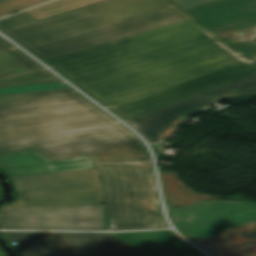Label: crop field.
I'll use <instances>...</instances> for the list:
<instances>
[{
	"label": "crop field",
	"instance_id": "obj_13",
	"mask_svg": "<svg viewBox=\"0 0 256 256\" xmlns=\"http://www.w3.org/2000/svg\"><path fill=\"white\" fill-rule=\"evenodd\" d=\"M18 200L2 208H31L103 204V188L18 193Z\"/></svg>",
	"mask_w": 256,
	"mask_h": 256
},
{
	"label": "crop field",
	"instance_id": "obj_7",
	"mask_svg": "<svg viewBox=\"0 0 256 256\" xmlns=\"http://www.w3.org/2000/svg\"><path fill=\"white\" fill-rule=\"evenodd\" d=\"M3 229L105 230L103 205L3 209Z\"/></svg>",
	"mask_w": 256,
	"mask_h": 256
},
{
	"label": "crop field",
	"instance_id": "obj_1",
	"mask_svg": "<svg viewBox=\"0 0 256 256\" xmlns=\"http://www.w3.org/2000/svg\"><path fill=\"white\" fill-rule=\"evenodd\" d=\"M30 147L52 160L92 157L109 230L167 227L147 149L71 88L0 95V154Z\"/></svg>",
	"mask_w": 256,
	"mask_h": 256
},
{
	"label": "crop field",
	"instance_id": "obj_23",
	"mask_svg": "<svg viewBox=\"0 0 256 256\" xmlns=\"http://www.w3.org/2000/svg\"><path fill=\"white\" fill-rule=\"evenodd\" d=\"M0 196H1V190H0Z\"/></svg>",
	"mask_w": 256,
	"mask_h": 256
},
{
	"label": "crop field",
	"instance_id": "obj_22",
	"mask_svg": "<svg viewBox=\"0 0 256 256\" xmlns=\"http://www.w3.org/2000/svg\"><path fill=\"white\" fill-rule=\"evenodd\" d=\"M2 1H5V0H0V2H2Z\"/></svg>",
	"mask_w": 256,
	"mask_h": 256
},
{
	"label": "crop field",
	"instance_id": "obj_9",
	"mask_svg": "<svg viewBox=\"0 0 256 256\" xmlns=\"http://www.w3.org/2000/svg\"><path fill=\"white\" fill-rule=\"evenodd\" d=\"M37 77L43 78L0 82V88L61 82L0 37V81Z\"/></svg>",
	"mask_w": 256,
	"mask_h": 256
},
{
	"label": "crop field",
	"instance_id": "obj_2",
	"mask_svg": "<svg viewBox=\"0 0 256 256\" xmlns=\"http://www.w3.org/2000/svg\"><path fill=\"white\" fill-rule=\"evenodd\" d=\"M46 61L126 120L256 72L193 18Z\"/></svg>",
	"mask_w": 256,
	"mask_h": 256
},
{
	"label": "crop field",
	"instance_id": "obj_11",
	"mask_svg": "<svg viewBox=\"0 0 256 256\" xmlns=\"http://www.w3.org/2000/svg\"><path fill=\"white\" fill-rule=\"evenodd\" d=\"M17 192L102 187L97 169L10 178Z\"/></svg>",
	"mask_w": 256,
	"mask_h": 256
},
{
	"label": "crop field",
	"instance_id": "obj_21",
	"mask_svg": "<svg viewBox=\"0 0 256 256\" xmlns=\"http://www.w3.org/2000/svg\"><path fill=\"white\" fill-rule=\"evenodd\" d=\"M0 256H5L4 252L0 249Z\"/></svg>",
	"mask_w": 256,
	"mask_h": 256
},
{
	"label": "crop field",
	"instance_id": "obj_16",
	"mask_svg": "<svg viewBox=\"0 0 256 256\" xmlns=\"http://www.w3.org/2000/svg\"><path fill=\"white\" fill-rule=\"evenodd\" d=\"M102 0H57L52 3L28 10V12L37 20H42L58 14L69 12L80 7L96 3Z\"/></svg>",
	"mask_w": 256,
	"mask_h": 256
},
{
	"label": "crop field",
	"instance_id": "obj_8",
	"mask_svg": "<svg viewBox=\"0 0 256 256\" xmlns=\"http://www.w3.org/2000/svg\"><path fill=\"white\" fill-rule=\"evenodd\" d=\"M186 12L215 33L256 25V0H216Z\"/></svg>",
	"mask_w": 256,
	"mask_h": 256
},
{
	"label": "crop field",
	"instance_id": "obj_18",
	"mask_svg": "<svg viewBox=\"0 0 256 256\" xmlns=\"http://www.w3.org/2000/svg\"><path fill=\"white\" fill-rule=\"evenodd\" d=\"M67 87L62 83L0 89V94Z\"/></svg>",
	"mask_w": 256,
	"mask_h": 256
},
{
	"label": "crop field",
	"instance_id": "obj_12",
	"mask_svg": "<svg viewBox=\"0 0 256 256\" xmlns=\"http://www.w3.org/2000/svg\"><path fill=\"white\" fill-rule=\"evenodd\" d=\"M148 256H202L172 231L111 233Z\"/></svg>",
	"mask_w": 256,
	"mask_h": 256
},
{
	"label": "crop field",
	"instance_id": "obj_6",
	"mask_svg": "<svg viewBox=\"0 0 256 256\" xmlns=\"http://www.w3.org/2000/svg\"><path fill=\"white\" fill-rule=\"evenodd\" d=\"M256 94V74L177 104L138 117L130 122L149 143L172 135L182 122L201 108L227 97Z\"/></svg>",
	"mask_w": 256,
	"mask_h": 256
},
{
	"label": "crop field",
	"instance_id": "obj_10",
	"mask_svg": "<svg viewBox=\"0 0 256 256\" xmlns=\"http://www.w3.org/2000/svg\"><path fill=\"white\" fill-rule=\"evenodd\" d=\"M95 168L91 157L52 162L35 150L0 156V169L9 177Z\"/></svg>",
	"mask_w": 256,
	"mask_h": 256
},
{
	"label": "crop field",
	"instance_id": "obj_3",
	"mask_svg": "<svg viewBox=\"0 0 256 256\" xmlns=\"http://www.w3.org/2000/svg\"><path fill=\"white\" fill-rule=\"evenodd\" d=\"M187 18L168 0H109L40 22L25 11L0 29L46 60Z\"/></svg>",
	"mask_w": 256,
	"mask_h": 256
},
{
	"label": "crop field",
	"instance_id": "obj_17",
	"mask_svg": "<svg viewBox=\"0 0 256 256\" xmlns=\"http://www.w3.org/2000/svg\"><path fill=\"white\" fill-rule=\"evenodd\" d=\"M49 0H8L0 3V17L12 12L21 11Z\"/></svg>",
	"mask_w": 256,
	"mask_h": 256
},
{
	"label": "crop field",
	"instance_id": "obj_20",
	"mask_svg": "<svg viewBox=\"0 0 256 256\" xmlns=\"http://www.w3.org/2000/svg\"><path fill=\"white\" fill-rule=\"evenodd\" d=\"M173 3H175L180 8L186 10L190 8H194L206 3H209L213 0H171Z\"/></svg>",
	"mask_w": 256,
	"mask_h": 256
},
{
	"label": "crop field",
	"instance_id": "obj_14",
	"mask_svg": "<svg viewBox=\"0 0 256 256\" xmlns=\"http://www.w3.org/2000/svg\"><path fill=\"white\" fill-rule=\"evenodd\" d=\"M256 222L195 241L215 256H256ZM234 240L221 243L219 241Z\"/></svg>",
	"mask_w": 256,
	"mask_h": 256
},
{
	"label": "crop field",
	"instance_id": "obj_4",
	"mask_svg": "<svg viewBox=\"0 0 256 256\" xmlns=\"http://www.w3.org/2000/svg\"><path fill=\"white\" fill-rule=\"evenodd\" d=\"M20 256H146L109 233H3Z\"/></svg>",
	"mask_w": 256,
	"mask_h": 256
},
{
	"label": "crop field",
	"instance_id": "obj_19",
	"mask_svg": "<svg viewBox=\"0 0 256 256\" xmlns=\"http://www.w3.org/2000/svg\"><path fill=\"white\" fill-rule=\"evenodd\" d=\"M237 50H239L242 54L252 59L256 62V44L255 43H245V42H237L225 40Z\"/></svg>",
	"mask_w": 256,
	"mask_h": 256
},
{
	"label": "crop field",
	"instance_id": "obj_15",
	"mask_svg": "<svg viewBox=\"0 0 256 256\" xmlns=\"http://www.w3.org/2000/svg\"><path fill=\"white\" fill-rule=\"evenodd\" d=\"M163 192L169 209L176 206H183L202 199H221L207 195L193 193L191 188H185L174 172H160ZM190 193V195H187Z\"/></svg>",
	"mask_w": 256,
	"mask_h": 256
},
{
	"label": "crop field",
	"instance_id": "obj_5",
	"mask_svg": "<svg viewBox=\"0 0 256 256\" xmlns=\"http://www.w3.org/2000/svg\"><path fill=\"white\" fill-rule=\"evenodd\" d=\"M179 230L195 241L256 220V203L202 200L169 210Z\"/></svg>",
	"mask_w": 256,
	"mask_h": 256
}]
</instances>
